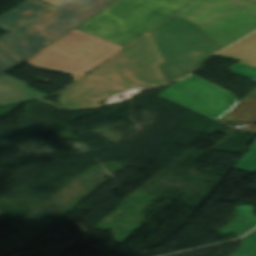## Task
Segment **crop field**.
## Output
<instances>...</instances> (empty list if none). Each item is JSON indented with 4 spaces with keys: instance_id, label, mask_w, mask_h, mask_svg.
<instances>
[{
    "instance_id": "crop-field-1",
    "label": "crop field",
    "mask_w": 256,
    "mask_h": 256,
    "mask_svg": "<svg viewBox=\"0 0 256 256\" xmlns=\"http://www.w3.org/2000/svg\"><path fill=\"white\" fill-rule=\"evenodd\" d=\"M254 30L256 10L231 0H194L150 32L166 62L158 67L170 83Z\"/></svg>"
},
{
    "instance_id": "crop-field-2",
    "label": "crop field",
    "mask_w": 256,
    "mask_h": 256,
    "mask_svg": "<svg viewBox=\"0 0 256 256\" xmlns=\"http://www.w3.org/2000/svg\"><path fill=\"white\" fill-rule=\"evenodd\" d=\"M164 63L150 33H147L61 93L67 109L98 106V101L126 87L164 84L156 64Z\"/></svg>"
},
{
    "instance_id": "crop-field-3",
    "label": "crop field",
    "mask_w": 256,
    "mask_h": 256,
    "mask_svg": "<svg viewBox=\"0 0 256 256\" xmlns=\"http://www.w3.org/2000/svg\"><path fill=\"white\" fill-rule=\"evenodd\" d=\"M192 0H120L76 30L128 46Z\"/></svg>"
},
{
    "instance_id": "crop-field-4",
    "label": "crop field",
    "mask_w": 256,
    "mask_h": 256,
    "mask_svg": "<svg viewBox=\"0 0 256 256\" xmlns=\"http://www.w3.org/2000/svg\"><path fill=\"white\" fill-rule=\"evenodd\" d=\"M114 1L116 0H67L64 5L27 24L38 31L0 54V74Z\"/></svg>"
},
{
    "instance_id": "crop-field-5",
    "label": "crop field",
    "mask_w": 256,
    "mask_h": 256,
    "mask_svg": "<svg viewBox=\"0 0 256 256\" xmlns=\"http://www.w3.org/2000/svg\"><path fill=\"white\" fill-rule=\"evenodd\" d=\"M123 48L74 30L26 61L37 69L69 72L76 81Z\"/></svg>"
},
{
    "instance_id": "crop-field-6",
    "label": "crop field",
    "mask_w": 256,
    "mask_h": 256,
    "mask_svg": "<svg viewBox=\"0 0 256 256\" xmlns=\"http://www.w3.org/2000/svg\"><path fill=\"white\" fill-rule=\"evenodd\" d=\"M159 96L217 120L238 103L229 91L195 75L177 82Z\"/></svg>"
},
{
    "instance_id": "crop-field-7",
    "label": "crop field",
    "mask_w": 256,
    "mask_h": 256,
    "mask_svg": "<svg viewBox=\"0 0 256 256\" xmlns=\"http://www.w3.org/2000/svg\"><path fill=\"white\" fill-rule=\"evenodd\" d=\"M54 8L38 0H26L0 15V28L10 32L0 38V53L35 32L26 24Z\"/></svg>"
},
{
    "instance_id": "crop-field-8",
    "label": "crop field",
    "mask_w": 256,
    "mask_h": 256,
    "mask_svg": "<svg viewBox=\"0 0 256 256\" xmlns=\"http://www.w3.org/2000/svg\"><path fill=\"white\" fill-rule=\"evenodd\" d=\"M42 96L46 95L27 87V84L15 78L6 75L0 77V106L2 107L32 101Z\"/></svg>"
},
{
    "instance_id": "crop-field-9",
    "label": "crop field",
    "mask_w": 256,
    "mask_h": 256,
    "mask_svg": "<svg viewBox=\"0 0 256 256\" xmlns=\"http://www.w3.org/2000/svg\"><path fill=\"white\" fill-rule=\"evenodd\" d=\"M237 216V219L219 232L226 234L235 231L239 237L256 225V217L253 215L252 205L237 206Z\"/></svg>"
},
{
    "instance_id": "crop-field-10",
    "label": "crop field",
    "mask_w": 256,
    "mask_h": 256,
    "mask_svg": "<svg viewBox=\"0 0 256 256\" xmlns=\"http://www.w3.org/2000/svg\"><path fill=\"white\" fill-rule=\"evenodd\" d=\"M235 256H256V230L241 239V246Z\"/></svg>"
},
{
    "instance_id": "crop-field-11",
    "label": "crop field",
    "mask_w": 256,
    "mask_h": 256,
    "mask_svg": "<svg viewBox=\"0 0 256 256\" xmlns=\"http://www.w3.org/2000/svg\"><path fill=\"white\" fill-rule=\"evenodd\" d=\"M234 168L249 172L256 170V141Z\"/></svg>"
},
{
    "instance_id": "crop-field-12",
    "label": "crop field",
    "mask_w": 256,
    "mask_h": 256,
    "mask_svg": "<svg viewBox=\"0 0 256 256\" xmlns=\"http://www.w3.org/2000/svg\"><path fill=\"white\" fill-rule=\"evenodd\" d=\"M229 69L237 76L256 80V67L239 63Z\"/></svg>"
},
{
    "instance_id": "crop-field-13",
    "label": "crop field",
    "mask_w": 256,
    "mask_h": 256,
    "mask_svg": "<svg viewBox=\"0 0 256 256\" xmlns=\"http://www.w3.org/2000/svg\"><path fill=\"white\" fill-rule=\"evenodd\" d=\"M238 3H241L243 5H246L248 7H251L253 9H256V0H233Z\"/></svg>"
},
{
    "instance_id": "crop-field-14",
    "label": "crop field",
    "mask_w": 256,
    "mask_h": 256,
    "mask_svg": "<svg viewBox=\"0 0 256 256\" xmlns=\"http://www.w3.org/2000/svg\"><path fill=\"white\" fill-rule=\"evenodd\" d=\"M233 256V255H232Z\"/></svg>"
}]
</instances>
